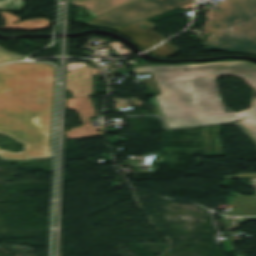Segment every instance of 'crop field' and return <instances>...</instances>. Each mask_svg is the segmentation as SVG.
<instances>
[{
    "label": "crop field",
    "mask_w": 256,
    "mask_h": 256,
    "mask_svg": "<svg viewBox=\"0 0 256 256\" xmlns=\"http://www.w3.org/2000/svg\"><path fill=\"white\" fill-rule=\"evenodd\" d=\"M136 75L152 72L161 92L150 99L167 128L231 123L237 114L220 98L216 79L234 76L247 79L256 65L247 61H225L175 66L151 65L133 70Z\"/></svg>",
    "instance_id": "8a807250"
},
{
    "label": "crop field",
    "mask_w": 256,
    "mask_h": 256,
    "mask_svg": "<svg viewBox=\"0 0 256 256\" xmlns=\"http://www.w3.org/2000/svg\"><path fill=\"white\" fill-rule=\"evenodd\" d=\"M137 0H70L75 6H85L96 17Z\"/></svg>",
    "instance_id": "d8731c3e"
},
{
    "label": "crop field",
    "mask_w": 256,
    "mask_h": 256,
    "mask_svg": "<svg viewBox=\"0 0 256 256\" xmlns=\"http://www.w3.org/2000/svg\"><path fill=\"white\" fill-rule=\"evenodd\" d=\"M54 75L49 64L12 63L0 66V92Z\"/></svg>",
    "instance_id": "f4fd0767"
},
{
    "label": "crop field",
    "mask_w": 256,
    "mask_h": 256,
    "mask_svg": "<svg viewBox=\"0 0 256 256\" xmlns=\"http://www.w3.org/2000/svg\"><path fill=\"white\" fill-rule=\"evenodd\" d=\"M25 4L22 0H2L0 1V9L3 10H20Z\"/></svg>",
    "instance_id": "22f410ed"
},
{
    "label": "crop field",
    "mask_w": 256,
    "mask_h": 256,
    "mask_svg": "<svg viewBox=\"0 0 256 256\" xmlns=\"http://www.w3.org/2000/svg\"><path fill=\"white\" fill-rule=\"evenodd\" d=\"M245 81L254 88L252 103L249 109L237 114L240 125L256 139V74Z\"/></svg>",
    "instance_id": "5a996713"
},
{
    "label": "crop field",
    "mask_w": 256,
    "mask_h": 256,
    "mask_svg": "<svg viewBox=\"0 0 256 256\" xmlns=\"http://www.w3.org/2000/svg\"><path fill=\"white\" fill-rule=\"evenodd\" d=\"M233 215L256 216V199L233 198Z\"/></svg>",
    "instance_id": "28ad6ade"
},
{
    "label": "crop field",
    "mask_w": 256,
    "mask_h": 256,
    "mask_svg": "<svg viewBox=\"0 0 256 256\" xmlns=\"http://www.w3.org/2000/svg\"><path fill=\"white\" fill-rule=\"evenodd\" d=\"M54 77L0 93V133L25 143L23 152L0 149L9 162L52 158Z\"/></svg>",
    "instance_id": "ac0d7876"
},
{
    "label": "crop field",
    "mask_w": 256,
    "mask_h": 256,
    "mask_svg": "<svg viewBox=\"0 0 256 256\" xmlns=\"http://www.w3.org/2000/svg\"><path fill=\"white\" fill-rule=\"evenodd\" d=\"M100 74L99 69L92 66L79 69L67 74V91H73L74 97L93 94L92 75Z\"/></svg>",
    "instance_id": "e52e79f7"
},
{
    "label": "crop field",
    "mask_w": 256,
    "mask_h": 256,
    "mask_svg": "<svg viewBox=\"0 0 256 256\" xmlns=\"http://www.w3.org/2000/svg\"><path fill=\"white\" fill-rule=\"evenodd\" d=\"M0 13L5 19V24L4 26H1L0 29H16V30L32 31L36 29L47 28L50 26L49 21L42 18L24 20L16 24H13V22L20 20V18L8 12H0Z\"/></svg>",
    "instance_id": "3316defc"
},
{
    "label": "crop field",
    "mask_w": 256,
    "mask_h": 256,
    "mask_svg": "<svg viewBox=\"0 0 256 256\" xmlns=\"http://www.w3.org/2000/svg\"><path fill=\"white\" fill-rule=\"evenodd\" d=\"M207 11L209 49L256 56V0H224Z\"/></svg>",
    "instance_id": "34b2d1b8"
},
{
    "label": "crop field",
    "mask_w": 256,
    "mask_h": 256,
    "mask_svg": "<svg viewBox=\"0 0 256 256\" xmlns=\"http://www.w3.org/2000/svg\"><path fill=\"white\" fill-rule=\"evenodd\" d=\"M193 2L194 0H139L85 24L91 27L115 30Z\"/></svg>",
    "instance_id": "412701ff"
},
{
    "label": "crop field",
    "mask_w": 256,
    "mask_h": 256,
    "mask_svg": "<svg viewBox=\"0 0 256 256\" xmlns=\"http://www.w3.org/2000/svg\"><path fill=\"white\" fill-rule=\"evenodd\" d=\"M155 27L156 26H154L153 24L144 20L115 31L126 35L128 38L134 41L143 51L166 39L151 31Z\"/></svg>",
    "instance_id": "dd49c442"
},
{
    "label": "crop field",
    "mask_w": 256,
    "mask_h": 256,
    "mask_svg": "<svg viewBox=\"0 0 256 256\" xmlns=\"http://www.w3.org/2000/svg\"><path fill=\"white\" fill-rule=\"evenodd\" d=\"M179 51H180L179 48L167 42L148 53H151L153 55L160 56V57L169 58L174 54L178 53Z\"/></svg>",
    "instance_id": "d1516ede"
},
{
    "label": "crop field",
    "mask_w": 256,
    "mask_h": 256,
    "mask_svg": "<svg viewBox=\"0 0 256 256\" xmlns=\"http://www.w3.org/2000/svg\"><path fill=\"white\" fill-rule=\"evenodd\" d=\"M18 59H22V57H18V56H15V55H10V54L5 53V52L0 50V63L13 61V60H18Z\"/></svg>",
    "instance_id": "cbeb9de0"
},
{
    "label": "crop field",
    "mask_w": 256,
    "mask_h": 256,
    "mask_svg": "<svg viewBox=\"0 0 256 256\" xmlns=\"http://www.w3.org/2000/svg\"><path fill=\"white\" fill-rule=\"evenodd\" d=\"M243 178H256V173H245L237 176H226L222 179H243Z\"/></svg>",
    "instance_id": "5142ce71"
}]
</instances>
